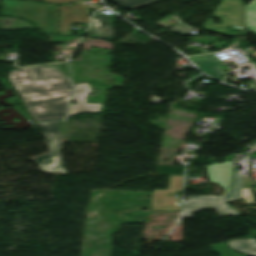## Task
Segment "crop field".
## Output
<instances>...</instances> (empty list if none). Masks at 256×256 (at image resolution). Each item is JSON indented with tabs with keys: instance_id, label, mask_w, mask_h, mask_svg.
I'll list each match as a JSON object with an SVG mask.
<instances>
[{
	"instance_id": "5142ce71",
	"label": "crop field",
	"mask_w": 256,
	"mask_h": 256,
	"mask_svg": "<svg viewBox=\"0 0 256 256\" xmlns=\"http://www.w3.org/2000/svg\"><path fill=\"white\" fill-rule=\"evenodd\" d=\"M242 179L243 175L234 174V181L232 183L230 193L226 198L227 201L240 198Z\"/></svg>"
},
{
	"instance_id": "214f88e0",
	"label": "crop field",
	"mask_w": 256,
	"mask_h": 256,
	"mask_svg": "<svg viewBox=\"0 0 256 256\" xmlns=\"http://www.w3.org/2000/svg\"><path fill=\"white\" fill-rule=\"evenodd\" d=\"M252 147L256 148V144H255V145H253Z\"/></svg>"
},
{
	"instance_id": "f4fd0767",
	"label": "crop field",
	"mask_w": 256,
	"mask_h": 256,
	"mask_svg": "<svg viewBox=\"0 0 256 256\" xmlns=\"http://www.w3.org/2000/svg\"><path fill=\"white\" fill-rule=\"evenodd\" d=\"M183 176H170L167 190H153L151 209L160 211H180L177 203V192L182 190Z\"/></svg>"
},
{
	"instance_id": "d1516ede",
	"label": "crop field",
	"mask_w": 256,
	"mask_h": 256,
	"mask_svg": "<svg viewBox=\"0 0 256 256\" xmlns=\"http://www.w3.org/2000/svg\"><path fill=\"white\" fill-rule=\"evenodd\" d=\"M230 248L240 250L246 254L256 256V242L254 238L234 239L228 241ZM239 251V252H240Z\"/></svg>"
},
{
	"instance_id": "22f410ed",
	"label": "crop field",
	"mask_w": 256,
	"mask_h": 256,
	"mask_svg": "<svg viewBox=\"0 0 256 256\" xmlns=\"http://www.w3.org/2000/svg\"><path fill=\"white\" fill-rule=\"evenodd\" d=\"M245 22L248 31H256V0L245 6Z\"/></svg>"
},
{
	"instance_id": "8a807250",
	"label": "crop field",
	"mask_w": 256,
	"mask_h": 256,
	"mask_svg": "<svg viewBox=\"0 0 256 256\" xmlns=\"http://www.w3.org/2000/svg\"><path fill=\"white\" fill-rule=\"evenodd\" d=\"M9 78L36 122L64 118L72 86L69 78L48 67L10 70Z\"/></svg>"
},
{
	"instance_id": "3316defc",
	"label": "crop field",
	"mask_w": 256,
	"mask_h": 256,
	"mask_svg": "<svg viewBox=\"0 0 256 256\" xmlns=\"http://www.w3.org/2000/svg\"><path fill=\"white\" fill-rule=\"evenodd\" d=\"M91 37L113 38L110 16L104 15L101 11L94 14L91 26Z\"/></svg>"
},
{
	"instance_id": "4a817a6b",
	"label": "crop field",
	"mask_w": 256,
	"mask_h": 256,
	"mask_svg": "<svg viewBox=\"0 0 256 256\" xmlns=\"http://www.w3.org/2000/svg\"><path fill=\"white\" fill-rule=\"evenodd\" d=\"M84 0H80V2L82 3V5L84 6V8L87 10V12L90 14V8L88 6H86L84 3H83Z\"/></svg>"
},
{
	"instance_id": "5a996713",
	"label": "crop field",
	"mask_w": 256,
	"mask_h": 256,
	"mask_svg": "<svg viewBox=\"0 0 256 256\" xmlns=\"http://www.w3.org/2000/svg\"><path fill=\"white\" fill-rule=\"evenodd\" d=\"M193 63L197 64L204 73L220 80L226 73L220 66L224 64L213 54L195 56L189 58Z\"/></svg>"
},
{
	"instance_id": "412701ff",
	"label": "crop field",
	"mask_w": 256,
	"mask_h": 256,
	"mask_svg": "<svg viewBox=\"0 0 256 256\" xmlns=\"http://www.w3.org/2000/svg\"><path fill=\"white\" fill-rule=\"evenodd\" d=\"M213 14L214 17H219L222 20V24L213 23V17H210L204 24V28L229 35V31L225 28V25L238 28L245 27L244 4L242 0H223ZM221 14H224L225 17L221 16Z\"/></svg>"
},
{
	"instance_id": "ac0d7876",
	"label": "crop field",
	"mask_w": 256,
	"mask_h": 256,
	"mask_svg": "<svg viewBox=\"0 0 256 256\" xmlns=\"http://www.w3.org/2000/svg\"><path fill=\"white\" fill-rule=\"evenodd\" d=\"M56 4H46L22 0H2L0 15H9L25 18L33 23L34 27L42 32H57Z\"/></svg>"
},
{
	"instance_id": "d9b57169",
	"label": "crop field",
	"mask_w": 256,
	"mask_h": 256,
	"mask_svg": "<svg viewBox=\"0 0 256 256\" xmlns=\"http://www.w3.org/2000/svg\"><path fill=\"white\" fill-rule=\"evenodd\" d=\"M116 3H119L123 6H125L127 9L131 10L158 0H111Z\"/></svg>"
},
{
	"instance_id": "e52e79f7",
	"label": "crop field",
	"mask_w": 256,
	"mask_h": 256,
	"mask_svg": "<svg viewBox=\"0 0 256 256\" xmlns=\"http://www.w3.org/2000/svg\"><path fill=\"white\" fill-rule=\"evenodd\" d=\"M91 93L90 87L87 83H77L74 87L73 100L76 101L74 105L71 106L70 114H79L85 112H99V103H86L85 97Z\"/></svg>"
},
{
	"instance_id": "28ad6ade",
	"label": "crop field",
	"mask_w": 256,
	"mask_h": 256,
	"mask_svg": "<svg viewBox=\"0 0 256 256\" xmlns=\"http://www.w3.org/2000/svg\"><path fill=\"white\" fill-rule=\"evenodd\" d=\"M190 200L185 202L184 217H192V211L201 208H216L213 196H189Z\"/></svg>"
},
{
	"instance_id": "dd49c442",
	"label": "crop field",
	"mask_w": 256,
	"mask_h": 256,
	"mask_svg": "<svg viewBox=\"0 0 256 256\" xmlns=\"http://www.w3.org/2000/svg\"><path fill=\"white\" fill-rule=\"evenodd\" d=\"M46 3L72 2L73 6H59V35H71V23L88 24L89 15L78 0H42ZM72 14V18L70 15Z\"/></svg>"
},
{
	"instance_id": "733c2abd",
	"label": "crop field",
	"mask_w": 256,
	"mask_h": 256,
	"mask_svg": "<svg viewBox=\"0 0 256 256\" xmlns=\"http://www.w3.org/2000/svg\"><path fill=\"white\" fill-rule=\"evenodd\" d=\"M211 251L218 252L219 256H229L227 255L228 251H227L225 242L211 245ZM230 253H231V256H248L246 254H238L237 252H234L231 250H230Z\"/></svg>"
},
{
	"instance_id": "bc2a9ffb",
	"label": "crop field",
	"mask_w": 256,
	"mask_h": 256,
	"mask_svg": "<svg viewBox=\"0 0 256 256\" xmlns=\"http://www.w3.org/2000/svg\"><path fill=\"white\" fill-rule=\"evenodd\" d=\"M251 56L256 58V51Z\"/></svg>"
},
{
	"instance_id": "cbeb9de0",
	"label": "crop field",
	"mask_w": 256,
	"mask_h": 256,
	"mask_svg": "<svg viewBox=\"0 0 256 256\" xmlns=\"http://www.w3.org/2000/svg\"><path fill=\"white\" fill-rule=\"evenodd\" d=\"M225 196H214L220 217L240 215L239 212L224 203Z\"/></svg>"
},
{
	"instance_id": "34b2d1b8",
	"label": "crop field",
	"mask_w": 256,
	"mask_h": 256,
	"mask_svg": "<svg viewBox=\"0 0 256 256\" xmlns=\"http://www.w3.org/2000/svg\"><path fill=\"white\" fill-rule=\"evenodd\" d=\"M45 137L47 138L49 152L43 156L35 158L33 161L40 165L42 172L59 171L66 173L61 167L63 164L61 156V142L59 138L62 137L60 131L57 130L55 122L38 124ZM51 156V158H47Z\"/></svg>"
},
{
	"instance_id": "d8731c3e",
	"label": "crop field",
	"mask_w": 256,
	"mask_h": 256,
	"mask_svg": "<svg viewBox=\"0 0 256 256\" xmlns=\"http://www.w3.org/2000/svg\"><path fill=\"white\" fill-rule=\"evenodd\" d=\"M233 158H234V155H231L229 157H226V161L224 164L214 163L206 167L210 181L218 182V184L226 190L224 195H227L228 189L231 184V178H232L231 162Z\"/></svg>"
}]
</instances>
